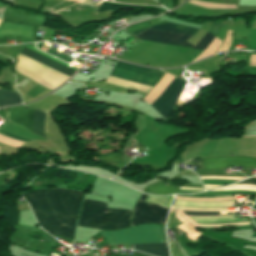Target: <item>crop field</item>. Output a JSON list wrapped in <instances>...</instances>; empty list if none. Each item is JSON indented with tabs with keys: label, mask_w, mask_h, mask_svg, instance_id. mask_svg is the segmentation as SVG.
Listing matches in <instances>:
<instances>
[{
	"label": "crop field",
	"mask_w": 256,
	"mask_h": 256,
	"mask_svg": "<svg viewBox=\"0 0 256 256\" xmlns=\"http://www.w3.org/2000/svg\"><path fill=\"white\" fill-rule=\"evenodd\" d=\"M39 225L54 234L74 238L81 191L41 189L26 193Z\"/></svg>",
	"instance_id": "1"
},
{
	"label": "crop field",
	"mask_w": 256,
	"mask_h": 256,
	"mask_svg": "<svg viewBox=\"0 0 256 256\" xmlns=\"http://www.w3.org/2000/svg\"><path fill=\"white\" fill-rule=\"evenodd\" d=\"M129 216L130 210L106 208L101 202L84 199L78 225L118 230L129 226Z\"/></svg>",
	"instance_id": "2"
},
{
	"label": "crop field",
	"mask_w": 256,
	"mask_h": 256,
	"mask_svg": "<svg viewBox=\"0 0 256 256\" xmlns=\"http://www.w3.org/2000/svg\"><path fill=\"white\" fill-rule=\"evenodd\" d=\"M152 29H158V30L174 32V33L190 35V36H193L198 31V29L182 26L180 24H176L172 22L155 25L152 27ZM152 29H149L146 32L136 37L141 40L171 44V45L200 49V50H203L205 47H207L215 37L207 32L206 35L203 37V39L199 43H197L195 46H193L186 42L188 39L191 38L190 36H184V35L168 33V32H163L158 30H152Z\"/></svg>",
	"instance_id": "3"
},
{
	"label": "crop field",
	"mask_w": 256,
	"mask_h": 256,
	"mask_svg": "<svg viewBox=\"0 0 256 256\" xmlns=\"http://www.w3.org/2000/svg\"><path fill=\"white\" fill-rule=\"evenodd\" d=\"M110 75L152 87L163 75V72L155 69L129 65L118 61ZM111 76L108 77L105 83L144 93H147L151 89V87L136 84Z\"/></svg>",
	"instance_id": "4"
},
{
	"label": "crop field",
	"mask_w": 256,
	"mask_h": 256,
	"mask_svg": "<svg viewBox=\"0 0 256 256\" xmlns=\"http://www.w3.org/2000/svg\"><path fill=\"white\" fill-rule=\"evenodd\" d=\"M109 245L165 242L163 229L154 225H144L116 232H102Z\"/></svg>",
	"instance_id": "5"
},
{
	"label": "crop field",
	"mask_w": 256,
	"mask_h": 256,
	"mask_svg": "<svg viewBox=\"0 0 256 256\" xmlns=\"http://www.w3.org/2000/svg\"><path fill=\"white\" fill-rule=\"evenodd\" d=\"M147 195L142 194L136 202L131 216V226L142 223L165 224L169 208L144 201Z\"/></svg>",
	"instance_id": "6"
},
{
	"label": "crop field",
	"mask_w": 256,
	"mask_h": 256,
	"mask_svg": "<svg viewBox=\"0 0 256 256\" xmlns=\"http://www.w3.org/2000/svg\"><path fill=\"white\" fill-rule=\"evenodd\" d=\"M9 119L23 128L32 131L33 110L12 108L8 110ZM46 112L34 110L33 133L44 136V119ZM8 118V115H7ZM12 122V123H13ZM14 123V124H15ZM16 124V125H17Z\"/></svg>",
	"instance_id": "7"
},
{
	"label": "crop field",
	"mask_w": 256,
	"mask_h": 256,
	"mask_svg": "<svg viewBox=\"0 0 256 256\" xmlns=\"http://www.w3.org/2000/svg\"><path fill=\"white\" fill-rule=\"evenodd\" d=\"M184 85L185 82L176 77L166 91L151 105L164 119L170 114Z\"/></svg>",
	"instance_id": "8"
},
{
	"label": "crop field",
	"mask_w": 256,
	"mask_h": 256,
	"mask_svg": "<svg viewBox=\"0 0 256 256\" xmlns=\"http://www.w3.org/2000/svg\"><path fill=\"white\" fill-rule=\"evenodd\" d=\"M204 168L228 167L233 165H243L256 167V158L250 157H217L210 159H202Z\"/></svg>",
	"instance_id": "9"
},
{
	"label": "crop field",
	"mask_w": 256,
	"mask_h": 256,
	"mask_svg": "<svg viewBox=\"0 0 256 256\" xmlns=\"http://www.w3.org/2000/svg\"><path fill=\"white\" fill-rule=\"evenodd\" d=\"M19 53L26 56V57H29V58H31L35 61H38L42 64H45V65H47L51 68H54V69H56L60 72H63L65 74L69 75V76L73 75V73L76 72L75 70H73V69H71V68H69L65 65H62V64H60V63H58V62H56L52 59H49V58H47V57H45V56H43L39 53H36V52L26 48V47H22Z\"/></svg>",
	"instance_id": "10"
},
{
	"label": "crop field",
	"mask_w": 256,
	"mask_h": 256,
	"mask_svg": "<svg viewBox=\"0 0 256 256\" xmlns=\"http://www.w3.org/2000/svg\"><path fill=\"white\" fill-rule=\"evenodd\" d=\"M36 28L18 24L6 23L0 27V36H20L23 38H32L35 35Z\"/></svg>",
	"instance_id": "11"
},
{
	"label": "crop field",
	"mask_w": 256,
	"mask_h": 256,
	"mask_svg": "<svg viewBox=\"0 0 256 256\" xmlns=\"http://www.w3.org/2000/svg\"><path fill=\"white\" fill-rule=\"evenodd\" d=\"M131 248L155 256H168L166 243L130 245Z\"/></svg>",
	"instance_id": "12"
},
{
	"label": "crop field",
	"mask_w": 256,
	"mask_h": 256,
	"mask_svg": "<svg viewBox=\"0 0 256 256\" xmlns=\"http://www.w3.org/2000/svg\"><path fill=\"white\" fill-rule=\"evenodd\" d=\"M178 187L166 186L165 183L159 182L147 186L144 193L154 194V195H170L177 192Z\"/></svg>",
	"instance_id": "13"
},
{
	"label": "crop field",
	"mask_w": 256,
	"mask_h": 256,
	"mask_svg": "<svg viewBox=\"0 0 256 256\" xmlns=\"http://www.w3.org/2000/svg\"><path fill=\"white\" fill-rule=\"evenodd\" d=\"M21 103L19 95L0 89V107Z\"/></svg>",
	"instance_id": "14"
},
{
	"label": "crop field",
	"mask_w": 256,
	"mask_h": 256,
	"mask_svg": "<svg viewBox=\"0 0 256 256\" xmlns=\"http://www.w3.org/2000/svg\"><path fill=\"white\" fill-rule=\"evenodd\" d=\"M145 6H136V5H125V4H118V3H108V2H103L100 7L99 11H105V10H121V9H131V8H143Z\"/></svg>",
	"instance_id": "15"
},
{
	"label": "crop field",
	"mask_w": 256,
	"mask_h": 256,
	"mask_svg": "<svg viewBox=\"0 0 256 256\" xmlns=\"http://www.w3.org/2000/svg\"><path fill=\"white\" fill-rule=\"evenodd\" d=\"M100 161H104L106 163H116L121 161V151L111 153L108 155L100 156Z\"/></svg>",
	"instance_id": "16"
},
{
	"label": "crop field",
	"mask_w": 256,
	"mask_h": 256,
	"mask_svg": "<svg viewBox=\"0 0 256 256\" xmlns=\"http://www.w3.org/2000/svg\"><path fill=\"white\" fill-rule=\"evenodd\" d=\"M186 215H197V216H211V215H219L223 214L222 212H199V211H187L182 210Z\"/></svg>",
	"instance_id": "17"
},
{
	"label": "crop field",
	"mask_w": 256,
	"mask_h": 256,
	"mask_svg": "<svg viewBox=\"0 0 256 256\" xmlns=\"http://www.w3.org/2000/svg\"><path fill=\"white\" fill-rule=\"evenodd\" d=\"M237 225H249V223L248 222H238V223H232V224L192 225V226H198V227H220V226H237Z\"/></svg>",
	"instance_id": "18"
},
{
	"label": "crop field",
	"mask_w": 256,
	"mask_h": 256,
	"mask_svg": "<svg viewBox=\"0 0 256 256\" xmlns=\"http://www.w3.org/2000/svg\"><path fill=\"white\" fill-rule=\"evenodd\" d=\"M174 199H178V200H194V201H226V200H234L233 198H227V199H190V198H181V197H175Z\"/></svg>",
	"instance_id": "19"
},
{
	"label": "crop field",
	"mask_w": 256,
	"mask_h": 256,
	"mask_svg": "<svg viewBox=\"0 0 256 256\" xmlns=\"http://www.w3.org/2000/svg\"><path fill=\"white\" fill-rule=\"evenodd\" d=\"M174 209H187V210H199V211H224V214H226L227 208H221V209H188V208H181V207H172Z\"/></svg>",
	"instance_id": "20"
},
{
	"label": "crop field",
	"mask_w": 256,
	"mask_h": 256,
	"mask_svg": "<svg viewBox=\"0 0 256 256\" xmlns=\"http://www.w3.org/2000/svg\"><path fill=\"white\" fill-rule=\"evenodd\" d=\"M200 179H232V180H242L241 177H200Z\"/></svg>",
	"instance_id": "21"
},
{
	"label": "crop field",
	"mask_w": 256,
	"mask_h": 256,
	"mask_svg": "<svg viewBox=\"0 0 256 256\" xmlns=\"http://www.w3.org/2000/svg\"><path fill=\"white\" fill-rule=\"evenodd\" d=\"M226 190H247V191H255L256 189L254 188H223V189H217V190H213V191H226Z\"/></svg>",
	"instance_id": "22"
},
{
	"label": "crop field",
	"mask_w": 256,
	"mask_h": 256,
	"mask_svg": "<svg viewBox=\"0 0 256 256\" xmlns=\"http://www.w3.org/2000/svg\"><path fill=\"white\" fill-rule=\"evenodd\" d=\"M256 177V176H254ZM238 184H256V178H250L244 182L238 183Z\"/></svg>",
	"instance_id": "23"
},
{
	"label": "crop field",
	"mask_w": 256,
	"mask_h": 256,
	"mask_svg": "<svg viewBox=\"0 0 256 256\" xmlns=\"http://www.w3.org/2000/svg\"><path fill=\"white\" fill-rule=\"evenodd\" d=\"M228 187H255L256 188V185H231Z\"/></svg>",
	"instance_id": "24"
},
{
	"label": "crop field",
	"mask_w": 256,
	"mask_h": 256,
	"mask_svg": "<svg viewBox=\"0 0 256 256\" xmlns=\"http://www.w3.org/2000/svg\"><path fill=\"white\" fill-rule=\"evenodd\" d=\"M179 189L203 191V189H198V188H188V187H180Z\"/></svg>",
	"instance_id": "25"
},
{
	"label": "crop field",
	"mask_w": 256,
	"mask_h": 256,
	"mask_svg": "<svg viewBox=\"0 0 256 256\" xmlns=\"http://www.w3.org/2000/svg\"><path fill=\"white\" fill-rule=\"evenodd\" d=\"M205 189L206 190H209V189H213V188H217V187H221V186H208V185H204Z\"/></svg>",
	"instance_id": "26"
},
{
	"label": "crop field",
	"mask_w": 256,
	"mask_h": 256,
	"mask_svg": "<svg viewBox=\"0 0 256 256\" xmlns=\"http://www.w3.org/2000/svg\"><path fill=\"white\" fill-rule=\"evenodd\" d=\"M135 256H148V255H145V254H142V253H139V252L135 251Z\"/></svg>",
	"instance_id": "27"
},
{
	"label": "crop field",
	"mask_w": 256,
	"mask_h": 256,
	"mask_svg": "<svg viewBox=\"0 0 256 256\" xmlns=\"http://www.w3.org/2000/svg\"><path fill=\"white\" fill-rule=\"evenodd\" d=\"M249 54H254V53H249ZM256 55V54H255Z\"/></svg>",
	"instance_id": "28"
}]
</instances>
